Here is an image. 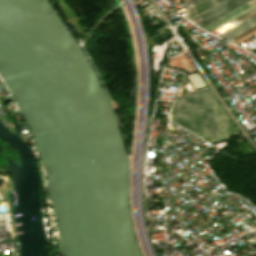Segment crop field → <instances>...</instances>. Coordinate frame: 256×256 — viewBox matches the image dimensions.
<instances>
[{"label":"crop field","instance_id":"crop-field-1","mask_svg":"<svg viewBox=\"0 0 256 256\" xmlns=\"http://www.w3.org/2000/svg\"><path fill=\"white\" fill-rule=\"evenodd\" d=\"M170 119L211 143L239 135L209 88L175 99Z\"/></svg>","mask_w":256,"mask_h":256}]
</instances>
